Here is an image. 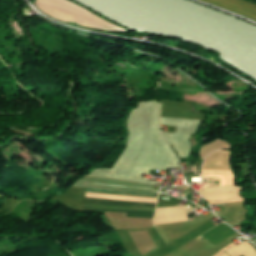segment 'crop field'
Wrapping results in <instances>:
<instances>
[{"label":"crop field","instance_id":"crop-field-1","mask_svg":"<svg viewBox=\"0 0 256 256\" xmlns=\"http://www.w3.org/2000/svg\"><path fill=\"white\" fill-rule=\"evenodd\" d=\"M85 204L143 206V207H155L156 205V204H150V203H138V202L115 201V200L92 199V198H86ZM84 209L99 210V211L127 212L128 217L153 218V215H154V212H145V211H128V210L94 209V208H84Z\"/></svg>","mask_w":256,"mask_h":256},{"label":"crop field","instance_id":"crop-field-2","mask_svg":"<svg viewBox=\"0 0 256 256\" xmlns=\"http://www.w3.org/2000/svg\"><path fill=\"white\" fill-rule=\"evenodd\" d=\"M233 234L235 233L231 229H229L224 223H222L219 226L207 231L201 236H203L215 245Z\"/></svg>","mask_w":256,"mask_h":256}]
</instances>
